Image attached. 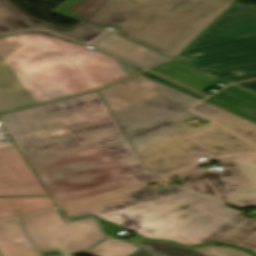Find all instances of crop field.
<instances>
[{"label":"crop field","instance_id":"obj_1","mask_svg":"<svg viewBox=\"0 0 256 256\" xmlns=\"http://www.w3.org/2000/svg\"><path fill=\"white\" fill-rule=\"evenodd\" d=\"M0 119L57 206L160 179L146 171L97 92Z\"/></svg>","mask_w":256,"mask_h":256},{"label":"crop field","instance_id":"obj_2","mask_svg":"<svg viewBox=\"0 0 256 256\" xmlns=\"http://www.w3.org/2000/svg\"><path fill=\"white\" fill-rule=\"evenodd\" d=\"M138 156L164 178L199 164L195 159L256 152V147L222 127L197 128L187 109L199 100L141 75L99 92Z\"/></svg>","mask_w":256,"mask_h":256},{"label":"crop field","instance_id":"obj_3","mask_svg":"<svg viewBox=\"0 0 256 256\" xmlns=\"http://www.w3.org/2000/svg\"><path fill=\"white\" fill-rule=\"evenodd\" d=\"M66 219L95 215L149 239L192 245L221 241L256 253V217L177 185L147 186L61 208Z\"/></svg>","mask_w":256,"mask_h":256},{"label":"crop field","instance_id":"obj_4","mask_svg":"<svg viewBox=\"0 0 256 256\" xmlns=\"http://www.w3.org/2000/svg\"><path fill=\"white\" fill-rule=\"evenodd\" d=\"M229 5L220 0H112L88 24L114 27L118 35L175 57Z\"/></svg>","mask_w":256,"mask_h":256},{"label":"crop field","instance_id":"obj_5","mask_svg":"<svg viewBox=\"0 0 256 256\" xmlns=\"http://www.w3.org/2000/svg\"><path fill=\"white\" fill-rule=\"evenodd\" d=\"M85 46L45 31L0 36V84L70 54L75 55L97 90L145 71Z\"/></svg>","mask_w":256,"mask_h":256},{"label":"crop field","instance_id":"obj_6","mask_svg":"<svg viewBox=\"0 0 256 256\" xmlns=\"http://www.w3.org/2000/svg\"><path fill=\"white\" fill-rule=\"evenodd\" d=\"M182 57L204 72L256 63V7L234 3Z\"/></svg>","mask_w":256,"mask_h":256},{"label":"crop field","instance_id":"obj_7","mask_svg":"<svg viewBox=\"0 0 256 256\" xmlns=\"http://www.w3.org/2000/svg\"><path fill=\"white\" fill-rule=\"evenodd\" d=\"M95 91L74 55L0 85L11 111Z\"/></svg>","mask_w":256,"mask_h":256},{"label":"crop field","instance_id":"obj_8","mask_svg":"<svg viewBox=\"0 0 256 256\" xmlns=\"http://www.w3.org/2000/svg\"><path fill=\"white\" fill-rule=\"evenodd\" d=\"M19 220L39 252L79 253L106 238L93 219L66 223L54 210Z\"/></svg>","mask_w":256,"mask_h":256},{"label":"crop field","instance_id":"obj_9","mask_svg":"<svg viewBox=\"0 0 256 256\" xmlns=\"http://www.w3.org/2000/svg\"><path fill=\"white\" fill-rule=\"evenodd\" d=\"M217 162L225 171L203 172L201 169L195 168L177 175L181 186L223 202L232 189L250 187L231 157L218 159Z\"/></svg>","mask_w":256,"mask_h":256},{"label":"crop field","instance_id":"obj_10","mask_svg":"<svg viewBox=\"0 0 256 256\" xmlns=\"http://www.w3.org/2000/svg\"><path fill=\"white\" fill-rule=\"evenodd\" d=\"M47 193L16 148L0 149V197L46 196Z\"/></svg>","mask_w":256,"mask_h":256},{"label":"crop field","instance_id":"obj_11","mask_svg":"<svg viewBox=\"0 0 256 256\" xmlns=\"http://www.w3.org/2000/svg\"><path fill=\"white\" fill-rule=\"evenodd\" d=\"M35 28L49 29L59 34L85 42L93 40L104 32V30L91 27L84 23H81L69 30L52 26L28 17L8 0H0V33Z\"/></svg>","mask_w":256,"mask_h":256},{"label":"crop field","instance_id":"obj_12","mask_svg":"<svg viewBox=\"0 0 256 256\" xmlns=\"http://www.w3.org/2000/svg\"><path fill=\"white\" fill-rule=\"evenodd\" d=\"M90 44L115 53L148 69L171 60L169 57L134 44L111 32L105 33L96 40L92 41Z\"/></svg>","mask_w":256,"mask_h":256},{"label":"crop field","instance_id":"obj_13","mask_svg":"<svg viewBox=\"0 0 256 256\" xmlns=\"http://www.w3.org/2000/svg\"><path fill=\"white\" fill-rule=\"evenodd\" d=\"M204 102L256 123V115H249L256 109V95L252 93L231 86Z\"/></svg>","mask_w":256,"mask_h":256},{"label":"crop field","instance_id":"obj_14","mask_svg":"<svg viewBox=\"0 0 256 256\" xmlns=\"http://www.w3.org/2000/svg\"><path fill=\"white\" fill-rule=\"evenodd\" d=\"M251 188L232 190L225 203L256 208V154L232 157Z\"/></svg>","mask_w":256,"mask_h":256},{"label":"crop field","instance_id":"obj_15","mask_svg":"<svg viewBox=\"0 0 256 256\" xmlns=\"http://www.w3.org/2000/svg\"><path fill=\"white\" fill-rule=\"evenodd\" d=\"M2 256H40L16 220L0 222Z\"/></svg>","mask_w":256,"mask_h":256},{"label":"crop field","instance_id":"obj_16","mask_svg":"<svg viewBox=\"0 0 256 256\" xmlns=\"http://www.w3.org/2000/svg\"><path fill=\"white\" fill-rule=\"evenodd\" d=\"M127 241L151 250L161 256H250L244 251L219 246L198 247L196 249L186 250L165 243L143 242L134 237L127 239Z\"/></svg>","mask_w":256,"mask_h":256},{"label":"crop field","instance_id":"obj_17","mask_svg":"<svg viewBox=\"0 0 256 256\" xmlns=\"http://www.w3.org/2000/svg\"><path fill=\"white\" fill-rule=\"evenodd\" d=\"M152 71L200 92L220 81L175 61Z\"/></svg>","mask_w":256,"mask_h":256},{"label":"crop field","instance_id":"obj_18","mask_svg":"<svg viewBox=\"0 0 256 256\" xmlns=\"http://www.w3.org/2000/svg\"><path fill=\"white\" fill-rule=\"evenodd\" d=\"M191 110L214 120L225 128L256 144V124L222 111L204 102L193 107Z\"/></svg>","mask_w":256,"mask_h":256},{"label":"crop field","instance_id":"obj_19","mask_svg":"<svg viewBox=\"0 0 256 256\" xmlns=\"http://www.w3.org/2000/svg\"><path fill=\"white\" fill-rule=\"evenodd\" d=\"M54 207L49 197L0 198V219Z\"/></svg>","mask_w":256,"mask_h":256},{"label":"crop field","instance_id":"obj_20","mask_svg":"<svg viewBox=\"0 0 256 256\" xmlns=\"http://www.w3.org/2000/svg\"><path fill=\"white\" fill-rule=\"evenodd\" d=\"M111 0H67L52 13L88 23Z\"/></svg>","mask_w":256,"mask_h":256},{"label":"crop field","instance_id":"obj_21","mask_svg":"<svg viewBox=\"0 0 256 256\" xmlns=\"http://www.w3.org/2000/svg\"><path fill=\"white\" fill-rule=\"evenodd\" d=\"M138 248L119 240L108 239L87 251L94 256H128Z\"/></svg>","mask_w":256,"mask_h":256},{"label":"crop field","instance_id":"obj_22","mask_svg":"<svg viewBox=\"0 0 256 256\" xmlns=\"http://www.w3.org/2000/svg\"><path fill=\"white\" fill-rule=\"evenodd\" d=\"M229 83L256 79V64L208 72Z\"/></svg>","mask_w":256,"mask_h":256},{"label":"crop field","instance_id":"obj_23","mask_svg":"<svg viewBox=\"0 0 256 256\" xmlns=\"http://www.w3.org/2000/svg\"><path fill=\"white\" fill-rule=\"evenodd\" d=\"M141 75L146 76V77H148V78H150V79H153V80H155V81H158V82H160V83H163V84H165V85H167V86H170V87H172V88H175V89H177V90H179V91H181V92H184V93H186V94H188V95H190V96H193V97H195V98H197V99H199V100L205 98V97H203V96H201V95H198V94H196V93H194V92H192V91H189V90H187V89H185V88H182V87H180V86H178V85H176V84H173V83H171V82H169V81H167V80H165V79H163V78H161V77H159V76H156V75H154V74H151V73H149V72H146V73L141 74Z\"/></svg>","mask_w":256,"mask_h":256},{"label":"crop field","instance_id":"obj_24","mask_svg":"<svg viewBox=\"0 0 256 256\" xmlns=\"http://www.w3.org/2000/svg\"><path fill=\"white\" fill-rule=\"evenodd\" d=\"M136 238H138V239H140V240H143V241H150V240H145L144 238L139 237V236H136ZM150 242H165V243H168V244H171V245H175V246H178V247H181V248H187V249L197 247V246H193V247L179 246V245H177V244H175V243L168 242V241H150ZM217 244H218V242L211 243V244H206V245H199V246H211V245H217ZM220 244H222V243H220ZM222 246H228V247H232V248L244 250V251H246L248 254H250V255H252V256H256L254 253H252V252H250V251H247V250H245V249H242V248H238V247L231 246V245H226V244H223Z\"/></svg>","mask_w":256,"mask_h":256},{"label":"crop field","instance_id":"obj_25","mask_svg":"<svg viewBox=\"0 0 256 256\" xmlns=\"http://www.w3.org/2000/svg\"><path fill=\"white\" fill-rule=\"evenodd\" d=\"M237 86L256 93V81L237 84ZM251 114H256V110L251 112Z\"/></svg>","mask_w":256,"mask_h":256},{"label":"crop field","instance_id":"obj_26","mask_svg":"<svg viewBox=\"0 0 256 256\" xmlns=\"http://www.w3.org/2000/svg\"><path fill=\"white\" fill-rule=\"evenodd\" d=\"M9 112L10 110L8 109V107L0 97V114L9 113Z\"/></svg>","mask_w":256,"mask_h":256},{"label":"crop field","instance_id":"obj_27","mask_svg":"<svg viewBox=\"0 0 256 256\" xmlns=\"http://www.w3.org/2000/svg\"><path fill=\"white\" fill-rule=\"evenodd\" d=\"M130 256H154V255L139 249L136 252H134L133 254H131Z\"/></svg>","mask_w":256,"mask_h":256},{"label":"crop field","instance_id":"obj_28","mask_svg":"<svg viewBox=\"0 0 256 256\" xmlns=\"http://www.w3.org/2000/svg\"><path fill=\"white\" fill-rule=\"evenodd\" d=\"M230 1H234V2H236L237 0H230Z\"/></svg>","mask_w":256,"mask_h":256}]
</instances>
